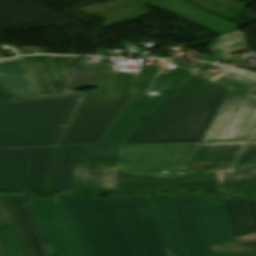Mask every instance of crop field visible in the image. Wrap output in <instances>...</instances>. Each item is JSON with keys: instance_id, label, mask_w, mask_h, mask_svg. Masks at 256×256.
Segmentation results:
<instances>
[{"instance_id": "1", "label": "crop field", "mask_w": 256, "mask_h": 256, "mask_svg": "<svg viewBox=\"0 0 256 256\" xmlns=\"http://www.w3.org/2000/svg\"><path fill=\"white\" fill-rule=\"evenodd\" d=\"M55 199L80 256H241L224 197Z\"/></svg>"}, {"instance_id": "2", "label": "crop field", "mask_w": 256, "mask_h": 256, "mask_svg": "<svg viewBox=\"0 0 256 256\" xmlns=\"http://www.w3.org/2000/svg\"><path fill=\"white\" fill-rule=\"evenodd\" d=\"M229 93L193 74L123 143L201 141Z\"/></svg>"}, {"instance_id": "3", "label": "crop field", "mask_w": 256, "mask_h": 256, "mask_svg": "<svg viewBox=\"0 0 256 256\" xmlns=\"http://www.w3.org/2000/svg\"><path fill=\"white\" fill-rule=\"evenodd\" d=\"M96 71L77 68L63 92L22 101L0 102V148L56 146Z\"/></svg>"}, {"instance_id": "4", "label": "crop field", "mask_w": 256, "mask_h": 256, "mask_svg": "<svg viewBox=\"0 0 256 256\" xmlns=\"http://www.w3.org/2000/svg\"><path fill=\"white\" fill-rule=\"evenodd\" d=\"M137 77L101 65L90 84L98 88L85 93L57 146L98 145L133 96Z\"/></svg>"}, {"instance_id": "5", "label": "crop field", "mask_w": 256, "mask_h": 256, "mask_svg": "<svg viewBox=\"0 0 256 256\" xmlns=\"http://www.w3.org/2000/svg\"><path fill=\"white\" fill-rule=\"evenodd\" d=\"M212 81L232 91L202 141L247 140L256 124V76L227 69Z\"/></svg>"}, {"instance_id": "6", "label": "crop field", "mask_w": 256, "mask_h": 256, "mask_svg": "<svg viewBox=\"0 0 256 256\" xmlns=\"http://www.w3.org/2000/svg\"><path fill=\"white\" fill-rule=\"evenodd\" d=\"M159 67L141 69L132 91H136L128 105L119 115L100 144L122 143L136 130L179 86L193 73L184 68L159 74L149 91L159 92L158 96L148 95L147 89Z\"/></svg>"}, {"instance_id": "7", "label": "crop field", "mask_w": 256, "mask_h": 256, "mask_svg": "<svg viewBox=\"0 0 256 256\" xmlns=\"http://www.w3.org/2000/svg\"><path fill=\"white\" fill-rule=\"evenodd\" d=\"M54 147L0 149V191L47 192Z\"/></svg>"}, {"instance_id": "8", "label": "crop field", "mask_w": 256, "mask_h": 256, "mask_svg": "<svg viewBox=\"0 0 256 256\" xmlns=\"http://www.w3.org/2000/svg\"><path fill=\"white\" fill-rule=\"evenodd\" d=\"M119 193L219 191L217 171H116Z\"/></svg>"}, {"instance_id": "9", "label": "crop field", "mask_w": 256, "mask_h": 256, "mask_svg": "<svg viewBox=\"0 0 256 256\" xmlns=\"http://www.w3.org/2000/svg\"><path fill=\"white\" fill-rule=\"evenodd\" d=\"M200 143L121 145L116 170H183Z\"/></svg>"}, {"instance_id": "10", "label": "crop field", "mask_w": 256, "mask_h": 256, "mask_svg": "<svg viewBox=\"0 0 256 256\" xmlns=\"http://www.w3.org/2000/svg\"><path fill=\"white\" fill-rule=\"evenodd\" d=\"M39 95L63 92L82 57H23Z\"/></svg>"}, {"instance_id": "11", "label": "crop field", "mask_w": 256, "mask_h": 256, "mask_svg": "<svg viewBox=\"0 0 256 256\" xmlns=\"http://www.w3.org/2000/svg\"><path fill=\"white\" fill-rule=\"evenodd\" d=\"M26 256H52L26 198H0Z\"/></svg>"}, {"instance_id": "12", "label": "crop field", "mask_w": 256, "mask_h": 256, "mask_svg": "<svg viewBox=\"0 0 256 256\" xmlns=\"http://www.w3.org/2000/svg\"><path fill=\"white\" fill-rule=\"evenodd\" d=\"M53 256H79L55 199L27 198Z\"/></svg>"}, {"instance_id": "13", "label": "crop field", "mask_w": 256, "mask_h": 256, "mask_svg": "<svg viewBox=\"0 0 256 256\" xmlns=\"http://www.w3.org/2000/svg\"><path fill=\"white\" fill-rule=\"evenodd\" d=\"M120 145L90 147L88 165H77L71 191L118 193L115 176H105L98 159L118 158Z\"/></svg>"}, {"instance_id": "14", "label": "crop field", "mask_w": 256, "mask_h": 256, "mask_svg": "<svg viewBox=\"0 0 256 256\" xmlns=\"http://www.w3.org/2000/svg\"><path fill=\"white\" fill-rule=\"evenodd\" d=\"M222 192L256 194V142H247L230 171H219Z\"/></svg>"}, {"instance_id": "15", "label": "crop field", "mask_w": 256, "mask_h": 256, "mask_svg": "<svg viewBox=\"0 0 256 256\" xmlns=\"http://www.w3.org/2000/svg\"><path fill=\"white\" fill-rule=\"evenodd\" d=\"M225 198L242 256H256V199Z\"/></svg>"}, {"instance_id": "16", "label": "crop field", "mask_w": 256, "mask_h": 256, "mask_svg": "<svg viewBox=\"0 0 256 256\" xmlns=\"http://www.w3.org/2000/svg\"><path fill=\"white\" fill-rule=\"evenodd\" d=\"M150 4L168 13L182 17L217 35L229 33L239 28L232 23L195 8L184 0H159Z\"/></svg>"}, {"instance_id": "17", "label": "crop field", "mask_w": 256, "mask_h": 256, "mask_svg": "<svg viewBox=\"0 0 256 256\" xmlns=\"http://www.w3.org/2000/svg\"><path fill=\"white\" fill-rule=\"evenodd\" d=\"M0 85L18 99L38 95L22 58L0 61Z\"/></svg>"}, {"instance_id": "18", "label": "crop field", "mask_w": 256, "mask_h": 256, "mask_svg": "<svg viewBox=\"0 0 256 256\" xmlns=\"http://www.w3.org/2000/svg\"><path fill=\"white\" fill-rule=\"evenodd\" d=\"M88 149L58 148L50 192L70 191L76 164H87Z\"/></svg>"}, {"instance_id": "19", "label": "crop field", "mask_w": 256, "mask_h": 256, "mask_svg": "<svg viewBox=\"0 0 256 256\" xmlns=\"http://www.w3.org/2000/svg\"><path fill=\"white\" fill-rule=\"evenodd\" d=\"M245 142L201 143L191 161L234 162Z\"/></svg>"}, {"instance_id": "20", "label": "crop field", "mask_w": 256, "mask_h": 256, "mask_svg": "<svg viewBox=\"0 0 256 256\" xmlns=\"http://www.w3.org/2000/svg\"><path fill=\"white\" fill-rule=\"evenodd\" d=\"M239 33L240 34L233 33L218 39L210 49L216 60L227 57L228 49L246 46L245 34Z\"/></svg>"}, {"instance_id": "21", "label": "crop field", "mask_w": 256, "mask_h": 256, "mask_svg": "<svg viewBox=\"0 0 256 256\" xmlns=\"http://www.w3.org/2000/svg\"><path fill=\"white\" fill-rule=\"evenodd\" d=\"M0 241L7 256H25L10 223L0 224Z\"/></svg>"}, {"instance_id": "22", "label": "crop field", "mask_w": 256, "mask_h": 256, "mask_svg": "<svg viewBox=\"0 0 256 256\" xmlns=\"http://www.w3.org/2000/svg\"><path fill=\"white\" fill-rule=\"evenodd\" d=\"M187 169H229L231 163L190 162Z\"/></svg>"}, {"instance_id": "23", "label": "crop field", "mask_w": 256, "mask_h": 256, "mask_svg": "<svg viewBox=\"0 0 256 256\" xmlns=\"http://www.w3.org/2000/svg\"><path fill=\"white\" fill-rule=\"evenodd\" d=\"M15 98L11 96L7 91H5L1 86H0V100H14Z\"/></svg>"}, {"instance_id": "24", "label": "crop field", "mask_w": 256, "mask_h": 256, "mask_svg": "<svg viewBox=\"0 0 256 256\" xmlns=\"http://www.w3.org/2000/svg\"><path fill=\"white\" fill-rule=\"evenodd\" d=\"M10 222L0 203V223Z\"/></svg>"}, {"instance_id": "25", "label": "crop field", "mask_w": 256, "mask_h": 256, "mask_svg": "<svg viewBox=\"0 0 256 256\" xmlns=\"http://www.w3.org/2000/svg\"><path fill=\"white\" fill-rule=\"evenodd\" d=\"M106 175H115V169H105Z\"/></svg>"}, {"instance_id": "26", "label": "crop field", "mask_w": 256, "mask_h": 256, "mask_svg": "<svg viewBox=\"0 0 256 256\" xmlns=\"http://www.w3.org/2000/svg\"><path fill=\"white\" fill-rule=\"evenodd\" d=\"M0 256H6V254H5V252H4L3 248H2L1 243H0Z\"/></svg>"}, {"instance_id": "27", "label": "crop field", "mask_w": 256, "mask_h": 256, "mask_svg": "<svg viewBox=\"0 0 256 256\" xmlns=\"http://www.w3.org/2000/svg\"><path fill=\"white\" fill-rule=\"evenodd\" d=\"M249 140H256V129Z\"/></svg>"}, {"instance_id": "28", "label": "crop field", "mask_w": 256, "mask_h": 256, "mask_svg": "<svg viewBox=\"0 0 256 256\" xmlns=\"http://www.w3.org/2000/svg\"><path fill=\"white\" fill-rule=\"evenodd\" d=\"M0 58H4V56L0 53Z\"/></svg>"}]
</instances>
